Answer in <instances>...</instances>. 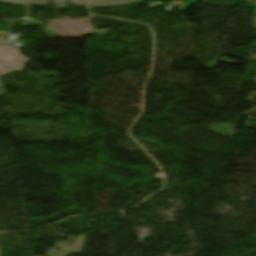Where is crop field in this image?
I'll return each instance as SVG.
<instances>
[{"instance_id":"obj_1","label":"crop field","mask_w":256,"mask_h":256,"mask_svg":"<svg viewBox=\"0 0 256 256\" xmlns=\"http://www.w3.org/2000/svg\"><path fill=\"white\" fill-rule=\"evenodd\" d=\"M15 42L9 40L6 43ZM31 61L28 57L20 54L19 50L15 47L5 45L0 46V74L5 75L15 71H22L25 67L22 63Z\"/></svg>"},{"instance_id":"obj_2","label":"crop field","mask_w":256,"mask_h":256,"mask_svg":"<svg viewBox=\"0 0 256 256\" xmlns=\"http://www.w3.org/2000/svg\"><path fill=\"white\" fill-rule=\"evenodd\" d=\"M137 0H91L90 6L100 7V6H117V5H127L132 4Z\"/></svg>"},{"instance_id":"obj_3","label":"crop field","mask_w":256,"mask_h":256,"mask_svg":"<svg viewBox=\"0 0 256 256\" xmlns=\"http://www.w3.org/2000/svg\"><path fill=\"white\" fill-rule=\"evenodd\" d=\"M58 5L56 6L57 9H67L65 5V0H57ZM75 7H86L88 4V0H67Z\"/></svg>"},{"instance_id":"obj_4","label":"crop field","mask_w":256,"mask_h":256,"mask_svg":"<svg viewBox=\"0 0 256 256\" xmlns=\"http://www.w3.org/2000/svg\"><path fill=\"white\" fill-rule=\"evenodd\" d=\"M27 6L47 5L51 0H25Z\"/></svg>"},{"instance_id":"obj_5","label":"crop field","mask_w":256,"mask_h":256,"mask_svg":"<svg viewBox=\"0 0 256 256\" xmlns=\"http://www.w3.org/2000/svg\"><path fill=\"white\" fill-rule=\"evenodd\" d=\"M0 1L10 3V4L22 5L21 0H0Z\"/></svg>"},{"instance_id":"obj_6","label":"crop field","mask_w":256,"mask_h":256,"mask_svg":"<svg viewBox=\"0 0 256 256\" xmlns=\"http://www.w3.org/2000/svg\"><path fill=\"white\" fill-rule=\"evenodd\" d=\"M0 33H7V32H0ZM1 42V41H0Z\"/></svg>"},{"instance_id":"obj_7","label":"crop field","mask_w":256,"mask_h":256,"mask_svg":"<svg viewBox=\"0 0 256 256\" xmlns=\"http://www.w3.org/2000/svg\"><path fill=\"white\" fill-rule=\"evenodd\" d=\"M255 15H256V11H255Z\"/></svg>"}]
</instances>
